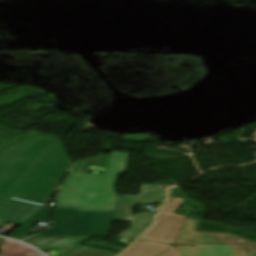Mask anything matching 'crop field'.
<instances>
[{
  "instance_id": "ac0d7876",
  "label": "crop field",
  "mask_w": 256,
  "mask_h": 256,
  "mask_svg": "<svg viewBox=\"0 0 256 256\" xmlns=\"http://www.w3.org/2000/svg\"><path fill=\"white\" fill-rule=\"evenodd\" d=\"M129 153L111 152L106 174L70 172L63 183L56 207H77L78 211L114 212L117 174L125 170Z\"/></svg>"
},
{
  "instance_id": "dd49c442",
  "label": "crop field",
  "mask_w": 256,
  "mask_h": 256,
  "mask_svg": "<svg viewBox=\"0 0 256 256\" xmlns=\"http://www.w3.org/2000/svg\"><path fill=\"white\" fill-rule=\"evenodd\" d=\"M185 199L172 197L159 213L156 226L141 239L174 244L177 234L187 216L174 214Z\"/></svg>"
},
{
  "instance_id": "34b2d1b8",
  "label": "crop field",
  "mask_w": 256,
  "mask_h": 256,
  "mask_svg": "<svg viewBox=\"0 0 256 256\" xmlns=\"http://www.w3.org/2000/svg\"><path fill=\"white\" fill-rule=\"evenodd\" d=\"M113 214L56 208L52 228L34 237L108 236Z\"/></svg>"
},
{
  "instance_id": "e52e79f7",
  "label": "crop field",
  "mask_w": 256,
  "mask_h": 256,
  "mask_svg": "<svg viewBox=\"0 0 256 256\" xmlns=\"http://www.w3.org/2000/svg\"><path fill=\"white\" fill-rule=\"evenodd\" d=\"M91 237L30 238L24 243L38 249L52 248L62 256H118L119 253L78 245ZM82 244V243H81Z\"/></svg>"
},
{
  "instance_id": "3316defc",
  "label": "crop field",
  "mask_w": 256,
  "mask_h": 256,
  "mask_svg": "<svg viewBox=\"0 0 256 256\" xmlns=\"http://www.w3.org/2000/svg\"><path fill=\"white\" fill-rule=\"evenodd\" d=\"M173 245L139 240L123 256H158Z\"/></svg>"
},
{
  "instance_id": "28ad6ade",
  "label": "crop field",
  "mask_w": 256,
  "mask_h": 256,
  "mask_svg": "<svg viewBox=\"0 0 256 256\" xmlns=\"http://www.w3.org/2000/svg\"><path fill=\"white\" fill-rule=\"evenodd\" d=\"M52 207H44L37 214H35L31 219H29L25 224H23L19 229H17L10 237L19 236H29L35 232L29 230L28 228L32 226L37 221L49 223Z\"/></svg>"
},
{
  "instance_id": "f4fd0767",
  "label": "crop field",
  "mask_w": 256,
  "mask_h": 256,
  "mask_svg": "<svg viewBox=\"0 0 256 256\" xmlns=\"http://www.w3.org/2000/svg\"><path fill=\"white\" fill-rule=\"evenodd\" d=\"M198 219L188 217L184 226L182 227V232H179V235L176 240V245H203V244H228L230 256H246V245L251 243L252 247L256 243L230 235V234H220V233H204V232H195L198 225ZM223 236L222 239L215 240L212 239L214 236ZM227 237H233L237 240H243L240 244H232L224 240Z\"/></svg>"
},
{
  "instance_id": "d1516ede",
  "label": "crop field",
  "mask_w": 256,
  "mask_h": 256,
  "mask_svg": "<svg viewBox=\"0 0 256 256\" xmlns=\"http://www.w3.org/2000/svg\"><path fill=\"white\" fill-rule=\"evenodd\" d=\"M31 248L11 241H6L0 256H36ZM40 256V255H39Z\"/></svg>"
},
{
  "instance_id": "412701ff",
  "label": "crop field",
  "mask_w": 256,
  "mask_h": 256,
  "mask_svg": "<svg viewBox=\"0 0 256 256\" xmlns=\"http://www.w3.org/2000/svg\"><path fill=\"white\" fill-rule=\"evenodd\" d=\"M165 200L166 189H154V185H142L139 196L119 195L113 220L132 222V227L119 238L135 240L153 225L155 213L134 215L131 213L132 206L144 203H165Z\"/></svg>"
},
{
  "instance_id": "8a807250",
  "label": "crop field",
  "mask_w": 256,
  "mask_h": 256,
  "mask_svg": "<svg viewBox=\"0 0 256 256\" xmlns=\"http://www.w3.org/2000/svg\"><path fill=\"white\" fill-rule=\"evenodd\" d=\"M71 165L58 138L30 131L0 146V195L45 206Z\"/></svg>"
},
{
  "instance_id": "d8731c3e",
  "label": "crop field",
  "mask_w": 256,
  "mask_h": 256,
  "mask_svg": "<svg viewBox=\"0 0 256 256\" xmlns=\"http://www.w3.org/2000/svg\"><path fill=\"white\" fill-rule=\"evenodd\" d=\"M41 208L43 207L0 196V228L9 221L20 225Z\"/></svg>"
},
{
  "instance_id": "5a996713",
  "label": "crop field",
  "mask_w": 256,
  "mask_h": 256,
  "mask_svg": "<svg viewBox=\"0 0 256 256\" xmlns=\"http://www.w3.org/2000/svg\"><path fill=\"white\" fill-rule=\"evenodd\" d=\"M188 251L192 253L187 255ZM160 256H229L227 245L192 247H172ZM247 256H256V252L249 250Z\"/></svg>"
}]
</instances>
